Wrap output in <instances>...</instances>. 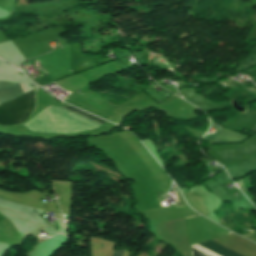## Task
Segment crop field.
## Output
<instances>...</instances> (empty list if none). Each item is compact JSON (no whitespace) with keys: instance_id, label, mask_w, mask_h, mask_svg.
Returning a JSON list of instances; mask_svg holds the SVG:
<instances>
[{"instance_id":"obj_5","label":"crop field","mask_w":256,"mask_h":256,"mask_svg":"<svg viewBox=\"0 0 256 256\" xmlns=\"http://www.w3.org/2000/svg\"><path fill=\"white\" fill-rule=\"evenodd\" d=\"M122 252H123V250L122 251H117V252L114 253L113 256H121Z\"/></svg>"},{"instance_id":"obj_2","label":"crop field","mask_w":256,"mask_h":256,"mask_svg":"<svg viewBox=\"0 0 256 256\" xmlns=\"http://www.w3.org/2000/svg\"><path fill=\"white\" fill-rule=\"evenodd\" d=\"M34 90L0 106V125H16L27 120L34 108Z\"/></svg>"},{"instance_id":"obj_1","label":"crop field","mask_w":256,"mask_h":256,"mask_svg":"<svg viewBox=\"0 0 256 256\" xmlns=\"http://www.w3.org/2000/svg\"><path fill=\"white\" fill-rule=\"evenodd\" d=\"M67 109L101 125L105 123V120L90 115L72 106ZM67 109L54 106L43 110L24 125L33 132L64 134H73L101 126L84 119Z\"/></svg>"},{"instance_id":"obj_3","label":"crop field","mask_w":256,"mask_h":256,"mask_svg":"<svg viewBox=\"0 0 256 256\" xmlns=\"http://www.w3.org/2000/svg\"><path fill=\"white\" fill-rule=\"evenodd\" d=\"M25 85V84H24ZM23 84H11L6 82H0V101L1 103L7 102L27 91H29L28 88H26ZM31 90V89H30Z\"/></svg>"},{"instance_id":"obj_4","label":"crop field","mask_w":256,"mask_h":256,"mask_svg":"<svg viewBox=\"0 0 256 256\" xmlns=\"http://www.w3.org/2000/svg\"><path fill=\"white\" fill-rule=\"evenodd\" d=\"M199 245L221 255V256H241L211 240H208V241H205V242H201V243H198ZM190 250H191V256H208L192 247H190Z\"/></svg>"}]
</instances>
